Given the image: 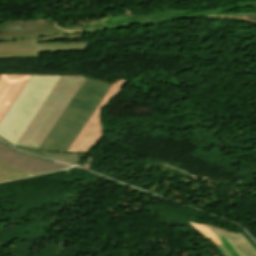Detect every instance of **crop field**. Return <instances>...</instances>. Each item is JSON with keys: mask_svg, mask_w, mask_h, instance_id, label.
<instances>
[{"mask_svg": "<svg viewBox=\"0 0 256 256\" xmlns=\"http://www.w3.org/2000/svg\"><path fill=\"white\" fill-rule=\"evenodd\" d=\"M111 85L87 77L40 149L67 152Z\"/></svg>", "mask_w": 256, "mask_h": 256, "instance_id": "crop-field-1", "label": "crop field"}, {"mask_svg": "<svg viewBox=\"0 0 256 256\" xmlns=\"http://www.w3.org/2000/svg\"><path fill=\"white\" fill-rule=\"evenodd\" d=\"M85 78V76L63 75L16 146L39 149L80 89Z\"/></svg>", "mask_w": 256, "mask_h": 256, "instance_id": "crop-field-2", "label": "crop field"}, {"mask_svg": "<svg viewBox=\"0 0 256 256\" xmlns=\"http://www.w3.org/2000/svg\"><path fill=\"white\" fill-rule=\"evenodd\" d=\"M62 75H32L0 123V138L15 146Z\"/></svg>", "mask_w": 256, "mask_h": 256, "instance_id": "crop-field-3", "label": "crop field"}, {"mask_svg": "<svg viewBox=\"0 0 256 256\" xmlns=\"http://www.w3.org/2000/svg\"><path fill=\"white\" fill-rule=\"evenodd\" d=\"M82 33L43 36L34 39L0 41V60L38 58L40 52L84 51L89 42L39 43L46 40L81 38Z\"/></svg>", "mask_w": 256, "mask_h": 256, "instance_id": "crop-field-4", "label": "crop field"}, {"mask_svg": "<svg viewBox=\"0 0 256 256\" xmlns=\"http://www.w3.org/2000/svg\"><path fill=\"white\" fill-rule=\"evenodd\" d=\"M84 31V27H64L50 18L33 21H9L0 24V40H12L25 37H36L50 33H68Z\"/></svg>", "mask_w": 256, "mask_h": 256, "instance_id": "crop-field-5", "label": "crop field"}, {"mask_svg": "<svg viewBox=\"0 0 256 256\" xmlns=\"http://www.w3.org/2000/svg\"><path fill=\"white\" fill-rule=\"evenodd\" d=\"M127 82V80H123L118 78L115 83H113L112 87L105 95L100 105L85 125L71 148L68 152L71 153H79V154H87V152L94 147L103 137V127L101 121L100 110L116 95L119 93L120 88Z\"/></svg>", "mask_w": 256, "mask_h": 256, "instance_id": "crop-field-6", "label": "crop field"}, {"mask_svg": "<svg viewBox=\"0 0 256 256\" xmlns=\"http://www.w3.org/2000/svg\"><path fill=\"white\" fill-rule=\"evenodd\" d=\"M0 161L32 174H40L70 166L21 154L0 142Z\"/></svg>", "mask_w": 256, "mask_h": 256, "instance_id": "crop-field-7", "label": "crop field"}, {"mask_svg": "<svg viewBox=\"0 0 256 256\" xmlns=\"http://www.w3.org/2000/svg\"><path fill=\"white\" fill-rule=\"evenodd\" d=\"M200 232H202L210 241L216 244L224 256H231L216 236H223L239 256H256V250L250 243L239 233L234 234L208 225L190 223Z\"/></svg>", "mask_w": 256, "mask_h": 256, "instance_id": "crop-field-8", "label": "crop field"}, {"mask_svg": "<svg viewBox=\"0 0 256 256\" xmlns=\"http://www.w3.org/2000/svg\"><path fill=\"white\" fill-rule=\"evenodd\" d=\"M31 75L0 76V121L27 84Z\"/></svg>", "mask_w": 256, "mask_h": 256, "instance_id": "crop-field-9", "label": "crop field"}, {"mask_svg": "<svg viewBox=\"0 0 256 256\" xmlns=\"http://www.w3.org/2000/svg\"><path fill=\"white\" fill-rule=\"evenodd\" d=\"M237 7H255V10H256V2L244 1V2L237 3L235 6L227 7V8L216 10V11L201 12L195 15L182 16V15H178V13H173V12L159 13L151 16L141 15L139 16L137 23H140L143 25H154V24L167 22L169 20L177 19V18L211 16L215 14H220L228 10L235 9Z\"/></svg>", "mask_w": 256, "mask_h": 256, "instance_id": "crop-field-10", "label": "crop field"}, {"mask_svg": "<svg viewBox=\"0 0 256 256\" xmlns=\"http://www.w3.org/2000/svg\"><path fill=\"white\" fill-rule=\"evenodd\" d=\"M14 148L26 153L46 157L49 159H53V160H57V161H61V162H65L73 165H76L80 161V159L84 156V155L71 154V153L32 150V149H23V148H17V147H14Z\"/></svg>", "mask_w": 256, "mask_h": 256, "instance_id": "crop-field-11", "label": "crop field"}, {"mask_svg": "<svg viewBox=\"0 0 256 256\" xmlns=\"http://www.w3.org/2000/svg\"><path fill=\"white\" fill-rule=\"evenodd\" d=\"M28 175H30V173H27L20 169L0 163V182L27 177Z\"/></svg>", "mask_w": 256, "mask_h": 256, "instance_id": "crop-field-12", "label": "crop field"}, {"mask_svg": "<svg viewBox=\"0 0 256 256\" xmlns=\"http://www.w3.org/2000/svg\"><path fill=\"white\" fill-rule=\"evenodd\" d=\"M212 19H226V20H239L246 21L250 23H256V12L255 13H237V14H227L219 15L215 17H210Z\"/></svg>", "mask_w": 256, "mask_h": 256, "instance_id": "crop-field-13", "label": "crop field"}, {"mask_svg": "<svg viewBox=\"0 0 256 256\" xmlns=\"http://www.w3.org/2000/svg\"><path fill=\"white\" fill-rule=\"evenodd\" d=\"M127 24H117V25H104L101 27H85V31L100 30V29H112V28H124Z\"/></svg>", "mask_w": 256, "mask_h": 256, "instance_id": "crop-field-14", "label": "crop field"}, {"mask_svg": "<svg viewBox=\"0 0 256 256\" xmlns=\"http://www.w3.org/2000/svg\"><path fill=\"white\" fill-rule=\"evenodd\" d=\"M218 238L232 256H238L237 253L231 248V246L225 241L223 237H218Z\"/></svg>", "mask_w": 256, "mask_h": 256, "instance_id": "crop-field-15", "label": "crop field"}]
</instances>
